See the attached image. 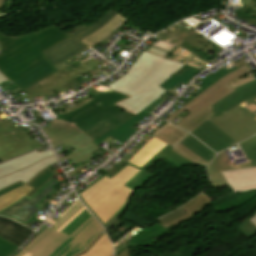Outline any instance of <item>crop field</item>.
Segmentation results:
<instances>
[{
  "mask_svg": "<svg viewBox=\"0 0 256 256\" xmlns=\"http://www.w3.org/2000/svg\"><path fill=\"white\" fill-rule=\"evenodd\" d=\"M176 127V126H175ZM169 124H164L160 129H158L154 135L155 137L159 138L163 142L173 146L174 148L171 150L178 155L184 157L185 159L195 162L203 167H206L209 162L205 161L204 159L198 157L197 155L190 152L188 149H186L184 146H182L180 143L189 136V134L175 128Z\"/></svg>",
  "mask_w": 256,
  "mask_h": 256,
  "instance_id": "crop-field-13",
  "label": "crop field"
},
{
  "mask_svg": "<svg viewBox=\"0 0 256 256\" xmlns=\"http://www.w3.org/2000/svg\"><path fill=\"white\" fill-rule=\"evenodd\" d=\"M5 0H0V7L2 6V4H3V2H4ZM5 3V2H4Z\"/></svg>",
  "mask_w": 256,
  "mask_h": 256,
  "instance_id": "crop-field-53",
  "label": "crop field"
},
{
  "mask_svg": "<svg viewBox=\"0 0 256 256\" xmlns=\"http://www.w3.org/2000/svg\"><path fill=\"white\" fill-rule=\"evenodd\" d=\"M81 27H78V28H75V29H72V30H70V31H68L67 33H72V32H74V31H76V30H78V29H80Z\"/></svg>",
  "mask_w": 256,
  "mask_h": 256,
  "instance_id": "crop-field-49",
  "label": "crop field"
},
{
  "mask_svg": "<svg viewBox=\"0 0 256 256\" xmlns=\"http://www.w3.org/2000/svg\"><path fill=\"white\" fill-rule=\"evenodd\" d=\"M32 230L4 217H0V237L21 246Z\"/></svg>",
  "mask_w": 256,
  "mask_h": 256,
  "instance_id": "crop-field-22",
  "label": "crop field"
},
{
  "mask_svg": "<svg viewBox=\"0 0 256 256\" xmlns=\"http://www.w3.org/2000/svg\"><path fill=\"white\" fill-rule=\"evenodd\" d=\"M240 146L251 162L232 166L225 152H221L207 169L213 187L227 186L226 180L220 171L256 166V136L240 143Z\"/></svg>",
  "mask_w": 256,
  "mask_h": 256,
  "instance_id": "crop-field-11",
  "label": "crop field"
},
{
  "mask_svg": "<svg viewBox=\"0 0 256 256\" xmlns=\"http://www.w3.org/2000/svg\"><path fill=\"white\" fill-rule=\"evenodd\" d=\"M234 13L237 14L238 18H244L245 20L249 21L250 23L254 24L256 22V14L247 11L243 8L238 9Z\"/></svg>",
  "mask_w": 256,
  "mask_h": 256,
  "instance_id": "crop-field-38",
  "label": "crop field"
},
{
  "mask_svg": "<svg viewBox=\"0 0 256 256\" xmlns=\"http://www.w3.org/2000/svg\"><path fill=\"white\" fill-rule=\"evenodd\" d=\"M86 48L88 47L71 37L43 53L50 59V61L55 66L58 63L64 61L65 59Z\"/></svg>",
  "mask_w": 256,
  "mask_h": 256,
  "instance_id": "crop-field-21",
  "label": "crop field"
},
{
  "mask_svg": "<svg viewBox=\"0 0 256 256\" xmlns=\"http://www.w3.org/2000/svg\"><path fill=\"white\" fill-rule=\"evenodd\" d=\"M9 79H7L1 72H0V83L5 82Z\"/></svg>",
  "mask_w": 256,
  "mask_h": 256,
  "instance_id": "crop-field-46",
  "label": "crop field"
},
{
  "mask_svg": "<svg viewBox=\"0 0 256 256\" xmlns=\"http://www.w3.org/2000/svg\"><path fill=\"white\" fill-rule=\"evenodd\" d=\"M68 85H69V87H70V88H72V87L76 86V85H74V84H73V83H71V82H70V83H68Z\"/></svg>",
  "mask_w": 256,
  "mask_h": 256,
  "instance_id": "crop-field-52",
  "label": "crop field"
},
{
  "mask_svg": "<svg viewBox=\"0 0 256 256\" xmlns=\"http://www.w3.org/2000/svg\"><path fill=\"white\" fill-rule=\"evenodd\" d=\"M86 95L90 96L94 100L75 111L57 116L59 119L69 121L84 131L73 139L62 144L66 148L71 146L75 151L60 159L61 162L68 158L72 159L76 163L81 160L84 162L90 160L95 156L93 153L100 149L99 147L91 144V141L95 140L113 127L115 129L118 128L134 117L113 104L128 96L110 90L96 96L91 92Z\"/></svg>",
  "mask_w": 256,
  "mask_h": 256,
  "instance_id": "crop-field-2",
  "label": "crop field"
},
{
  "mask_svg": "<svg viewBox=\"0 0 256 256\" xmlns=\"http://www.w3.org/2000/svg\"><path fill=\"white\" fill-rule=\"evenodd\" d=\"M56 71L58 70L52 65V63L47 58L42 62L29 68L27 71L19 75L11 82L14 83L20 89L25 90L33 84L50 76Z\"/></svg>",
  "mask_w": 256,
  "mask_h": 256,
  "instance_id": "crop-field-16",
  "label": "crop field"
},
{
  "mask_svg": "<svg viewBox=\"0 0 256 256\" xmlns=\"http://www.w3.org/2000/svg\"><path fill=\"white\" fill-rule=\"evenodd\" d=\"M141 171L127 163L113 176L103 175L79 192L78 196L105 227L129 202L135 190L126 185Z\"/></svg>",
  "mask_w": 256,
  "mask_h": 256,
  "instance_id": "crop-field-5",
  "label": "crop field"
},
{
  "mask_svg": "<svg viewBox=\"0 0 256 256\" xmlns=\"http://www.w3.org/2000/svg\"><path fill=\"white\" fill-rule=\"evenodd\" d=\"M39 147H41L40 143L30 137L17 141L14 133L0 136V161L3 162Z\"/></svg>",
  "mask_w": 256,
  "mask_h": 256,
  "instance_id": "crop-field-14",
  "label": "crop field"
},
{
  "mask_svg": "<svg viewBox=\"0 0 256 256\" xmlns=\"http://www.w3.org/2000/svg\"><path fill=\"white\" fill-rule=\"evenodd\" d=\"M127 18L117 15L109 23H107L103 28L94 33L93 35L87 37L86 39L80 41L88 47L92 48L93 46L99 44L104 39L109 37L119 26L126 22Z\"/></svg>",
  "mask_w": 256,
  "mask_h": 256,
  "instance_id": "crop-field-24",
  "label": "crop field"
},
{
  "mask_svg": "<svg viewBox=\"0 0 256 256\" xmlns=\"http://www.w3.org/2000/svg\"><path fill=\"white\" fill-rule=\"evenodd\" d=\"M80 66H82V64L73 56L55 67L64 75Z\"/></svg>",
  "mask_w": 256,
  "mask_h": 256,
  "instance_id": "crop-field-35",
  "label": "crop field"
},
{
  "mask_svg": "<svg viewBox=\"0 0 256 256\" xmlns=\"http://www.w3.org/2000/svg\"><path fill=\"white\" fill-rule=\"evenodd\" d=\"M210 198L206 196L204 193L200 194L181 208L185 210L187 213L166 223L164 225L165 228H169L171 226H174L180 222H183L189 218H192L196 213L200 212L203 208H205L209 202Z\"/></svg>",
  "mask_w": 256,
  "mask_h": 256,
  "instance_id": "crop-field-25",
  "label": "crop field"
},
{
  "mask_svg": "<svg viewBox=\"0 0 256 256\" xmlns=\"http://www.w3.org/2000/svg\"><path fill=\"white\" fill-rule=\"evenodd\" d=\"M217 47H218V46H216V45L214 46V48H215L216 50H219Z\"/></svg>",
  "mask_w": 256,
  "mask_h": 256,
  "instance_id": "crop-field-55",
  "label": "crop field"
},
{
  "mask_svg": "<svg viewBox=\"0 0 256 256\" xmlns=\"http://www.w3.org/2000/svg\"><path fill=\"white\" fill-rule=\"evenodd\" d=\"M116 15H117V13L110 10L107 14H105L100 20H98L94 24H92L88 27H85L71 35H73L75 38H77L80 41V40L86 38L87 36L93 34L97 30H99L101 27H103L107 22H109Z\"/></svg>",
  "mask_w": 256,
  "mask_h": 256,
  "instance_id": "crop-field-28",
  "label": "crop field"
},
{
  "mask_svg": "<svg viewBox=\"0 0 256 256\" xmlns=\"http://www.w3.org/2000/svg\"><path fill=\"white\" fill-rule=\"evenodd\" d=\"M53 230L43 226L37 236L16 256H78L86 252L104 233L79 199L60 219H49Z\"/></svg>",
  "mask_w": 256,
  "mask_h": 256,
  "instance_id": "crop-field-1",
  "label": "crop field"
},
{
  "mask_svg": "<svg viewBox=\"0 0 256 256\" xmlns=\"http://www.w3.org/2000/svg\"><path fill=\"white\" fill-rule=\"evenodd\" d=\"M162 100V98L159 101H155L152 104H150L148 107H146L145 109H143L144 111L149 112L152 108H154L160 101Z\"/></svg>",
  "mask_w": 256,
  "mask_h": 256,
  "instance_id": "crop-field-44",
  "label": "crop field"
},
{
  "mask_svg": "<svg viewBox=\"0 0 256 256\" xmlns=\"http://www.w3.org/2000/svg\"><path fill=\"white\" fill-rule=\"evenodd\" d=\"M52 126L44 128L53 147H57L72 137L83 132L71 123L62 120L50 122Z\"/></svg>",
  "mask_w": 256,
  "mask_h": 256,
  "instance_id": "crop-field-19",
  "label": "crop field"
},
{
  "mask_svg": "<svg viewBox=\"0 0 256 256\" xmlns=\"http://www.w3.org/2000/svg\"><path fill=\"white\" fill-rule=\"evenodd\" d=\"M65 181H67V179L59 183L53 178L30 199L24 196L15 204L0 211V215H4L10 219L26 225L34 216H36L42 210V208H39L37 206L56 190L54 188L55 186Z\"/></svg>",
  "mask_w": 256,
  "mask_h": 256,
  "instance_id": "crop-field-10",
  "label": "crop field"
},
{
  "mask_svg": "<svg viewBox=\"0 0 256 256\" xmlns=\"http://www.w3.org/2000/svg\"><path fill=\"white\" fill-rule=\"evenodd\" d=\"M181 144H183L185 147H187L193 153L197 154L198 156L204 158L205 160H207L209 162L215 155L214 152H212L210 149H208L206 146H204L202 143H200L198 140H196L191 135L186 140H184Z\"/></svg>",
  "mask_w": 256,
  "mask_h": 256,
  "instance_id": "crop-field-29",
  "label": "crop field"
},
{
  "mask_svg": "<svg viewBox=\"0 0 256 256\" xmlns=\"http://www.w3.org/2000/svg\"><path fill=\"white\" fill-rule=\"evenodd\" d=\"M172 147L166 146L162 151H160L156 156H154L150 161H148L144 166L141 168L144 169L136 178H134L128 186L137 189L143 186L154 174L146 171L153 163L161 159L162 157L165 158L170 163L180 167L184 165L193 164L184 158L178 156L177 154L171 152L170 150Z\"/></svg>",
  "mask_w": 256,
  "mask_h": 256,
  "instance_id": "crop-field-17",
  "label": "crop field"
},
{
  "mask_svg": "<svg viewBox=\"0 0 256 256\" xmlns=\"http://www.w3.org/2000/svg\"><path fill=\"white\" fill-rule=\"evenodd\" d=\"M237 90L229 94L213 106L212 115L216 118L239 105L243 101L256 96V80L251 81L243 86L236 88ZM198 139L204 142L215 152L236 144L232 139L225 135L209 120L201 125L193 133Z\"/></svg>",
  "mask_w": 256,
  "mask_h": 256,
  "instance_id": "crop-field-7",
  "label": "crop field"
},
{
  "mask_svg": "<svg viewBox=\"0 0 256 256\" xmlns=\"http://www.w3.org/2000/svg\"><path fill=\"white\" fill-rule=\"evenodd\" d=\"M188 68V66H185V67H183L181 70H179L177 73L179 74V73H181L182 71H184L185 69H187Z\"/></svg>",
  "mask_w": 256,
  "mask_h": 256,
  "instance_id": "crop-field-50",
  "label": "crop field"
},
{
  "mask_svg": "<svg viewBox=\"0 0 256 256\" xmlns=\"http://www.w3.org/2000/svg\"><path fill=\"white\" fill-rule=\"evenodd\" d=\"M237 65H239L240 67L241 66H243L244 64H245V62H243V61H240V62H238V63H236Z\"/></svg>",
  "mask_w": 256,
  "mask_h": 256,
  "instance_id": "crop-field-51",
  "label": "crop field"
},
{
  "mask_svg": "<svg viewBox=\"0 0 256 256\" xmlns=\"http://www.w3.org/2000/svg\"><path fill=\"white\" fill-rule=\"evenodd\" d=\"M237 68H239L237 65L236 66H234L232 69H230V70H227V69H222V70H220V71H218V72H216V73H214V74H210V75H208L207 77H205V78H203L202 80H200V81H202V82H204L205 84L204 85H202L201 87H200V89L196 92V94L192 97V98H194V97H196V96H198L200 93H202L204 90H206L208 87H210L211 85H213L215 82H217L219 79H221L223 76H225L226 74H228L229 72H231V71H233V70H235V69H237ZM180 99H182V100H185V101H187L188 102V100H186V99H184V98H180Z\"/></svg>",
  "mask_w": 256,
  "mask_h": 256,
  "instance_id": "crop-field-33",
  "label": "crop field"
},
{
  "mask_svg": "<svg viewBox=\"0 0 256 256\" xmlns=\"http://www.w3.org/2000/svg\"><path fill=\"white\" fill-rule=\"evenodd\" d=\"M113 247L106 233L85 253L80 256H112Z\"/></svg>",
  "mask_w": 256,
  "mask_h": 256,
  "instance_id": "crop-field-27",
  "label": "crop field"
},
{
  "mask_svg": "<svg viewBox=\"0 0 256 256\" xmlns=\"http://www.w3.org/2000/svg\"><path fill=\"white\" fill-rule=\"evenodd\" d=\"M147 114V112L141 111L134 118L126 122L124 125L119 127L118 129H111L104 135L100 136L97 140L93 141L94 144H99L101 141L111 136L123 143H125L137 130L130 128L132 125L136 124L139 120L143 119Z\"/></svg>",
  "mask_w": 256,
  "mask_h": 256,
  "instance_id": "crop-field-23",
  "label": "crop field"
},
{
  "mask_svg": "<svg viewBox=\"0 0 256 256\" xmlns=\"http://www.w3.org/2000/svg\"><path fill=\"white\" fill-rule=\"evenodd\" d=\"M119 256H128L127 249L125 251H123Z\"/></svg>",
  "mask_w": 256,
  "mask_h": 256,
  "instance_id": "crop-field-48",
  "label": "crop field"
},
{
  "mask_svg": "<svg viewBox=\"0 0 256 256\" xmlns=\"http://www.w3.org/2000/svg\"><path fill=\"white\" fill-rule=\"evenodd\" d=\"M256 226V214L249 219Z\"/></svg>",
  "mask_w": 256,
  "mask_h": 256,
  "instance_id": "crop-field-47",
  "label": "crop field"
},
{
  "mask_svg": "<svg viewBox=\"0 0 256 256\" xmlns=\"http://www.w3.org/2000/svg\"><path fill=\"white\" fill-rule=\"evenodd\" d=\"M8 133H12L10 126L7 124V122L5 120L1 121L0 122V135H4V134H8Z\"/></svg>",
  "mask_w": 256,
  "mask_h": 256,
  "instance_id": "crop-field-40",
  "label": "crop field"
},
{
  "mask_svg": "<svg viewBox=\"0 0 256 256\" xmlns=\"http://www.w3.org/2000/svg\"><path fill=\"white\" fill-rule=\"evenodd\" d=\"M57 163L55 156L42 160L24 170L14 172L6 177L0 178V190L19 181L25 184L30 181L38 172L47 166Z\"/></svg>",
  "mask_w": 256,
  "mask_h": 256,
  "instance_id": "crop-field-18",
  "label": "crop field"
},
{
  "mask_svg": "<svg viewBox=\"0 0 256 256\" xmlns=\"http://www.w3.org/2000/svg\"><path fill=\"white\" fill-rule=\"evenodd\" d=\"M252 53V52H251ZM253 56V58H255V56L253 54H251Z\"/></svg>",
  "mask_w": 256,
  "mask_h": 256,
  "instance_id": "crop-field-56",
  "label": "crop field"
},
{
  "mask_svg": "<svg viewBox=\"0 0 256 256\" xmlns=\"http://www.w3.org/2000/svg\"><path fill=\"white\" fill-rule=\"evenodd\" d=\"M21 185H23V183L19 182L17 184H14V185H12V186H10L8 188H5V189L1 190L0 191V196L5 194V193H7V192H9V191H11V190H13V189H15V188H17V187H19V186H21Z\"/></svg>",
  "mask_w": 256,
  "mask_h": 256,
  "instance_id": "crop-field-43",
  "label": "crop field"
},
{
  "mask_svg": "<svg viewBox=\"0 0 256 256\" xmlns=\"http://www.w3.org/2000/svg\"><path fill=\"white\" fill-rule=\"evenodd\" d=\"M245 8V7H244ZM247 9V8H246ZM249 10V9H248ZM251 11V10H250ZM252 12H254V11H252ZM254 13H256V12H254Z\"/></svg>",
  "mask_w": 256,
  "mask_h": 256,
  "instance_id": "crop-field-57",
  "label": "crop field"
},
{
  "mask_svg": "<svg viewBox=\"0 0 256 256\" xmlns=\"http://www.w3.org/2000/svg\"><path fill=\"white\" fill-rule=\"evenodd\" d=\"M183 66L143 52L126 75L107 87L130 96L115 105L135 116L166 92L158 86Z\"/></svg>",
  "mask_w": 256,
  "mask_h": 256,
  "instance_id": "crop-field-3",
  "label": "crop field"
},
{
  "mask_svg": "<svg viewBox=\"0 0 256 256\" xmlns=\"http://www.w3.org/2000/svg\"><path fill=\"white\" fill-rule=\"evenodd\" d=\"M99 64L92 61L83 67L63 76L59 71L54 73L48 78H44L45 80L33 85L28 88L29 91H26V94L29 99V103H33L32 97L45 96L49 95L51 90H56L58 93L70 89L67 82L81 76L80 74L92 70L97 67Z\"/></svg>",
  "mask_w": 256,
  "mask_h": 256,
  "instance_id": "crop-field-12",
  "label": "crop field"
},
{
  "mask_svg": "<svg viewBox=\"0 0 256 256\" xmlns=\"http://www.w3.org/2000/svg\"><path fill=\"white\" fill-rule=\"evenodd\" d=\"M166 145L167 144L154 137L128 162L141 167Z\"/></svg>",
  "mask_w": 256,
  "mask_h": 256,
  "instance_id": "crop-field-26",
  "label": "crop field"
},
{
  "mask_svg": "<svg viewBox=\"0 0 256 256\" xmlns=\"http://www.w3.org/2000/svg\"><path fill=\"white\" fill-rule=\"evenodd\" d=\"M189 42L190 44L196 46L197 48L201 49L204 52H209L215 44L210 42L209 40L205 39L198 33L192 30L191 34L189 37L185 40Z\"/></svg>",
  "mask_w": 256,
  "mask_h": 256,
  "instance_id": "crop-field-34",
  "label": "crop field"
},
{
  "mask_svg": "<svg viewBox=\"0 0 256 256\" xmlns=\"http://www.w3.org/2000/svg\"><path fill=\"white\" fill-rule=\"evenodd\" d=\"M84 168H86V167H84V166H82V165L79 166L77 169H75V170L71 171L70 173H68L69 177L72 176V175H74L75 173H77V172L83 170Z\"/></svg>",
  "mask_w": 256,
  "mask_h": 256,
  "instance_id": "crop-field-45",
  "label": "crop field"
},
{
  "mask_svg": "<svg viewBox=\"0 0 256 256\" xmlns=\"http://www.w3.org/2000/svg\"><path fill=\"white\" fill-rule=\"evenodd\" d=\"M18 247L0 238V256H10Z\"/></svg>",
  "mask_w": 256,
  "mask_h": 256,
  "instance_id": "crop-field-37",
  "label": "crop field"
},
{
  "mask_svg": "<svg viewBox=\"0 0 256 256\" xmlns=\"http://www.w3.org/2000/svg\"><path fill=\"white\" fill-rule=\"evenodd\" d=\"M236 227L249 239L256 234V227L247 218Z\"/></svg>",
  "mask_w": 256,
  "mask_h": 256,
  "instance_id": "crop-field-36",
  "label": "crop field"
},
{
  "mask_svg": "<svg viewBox=\"0 0 256 256\" xmlns=\"http://www.w3.org/2000/svg\"><path fill=\"white\" fill-rule=\"evenodd\" d=\"M198 72H199L198 69L190 67L179 75L177 73L174 74L170 79L165 81L159 87L168 91L174 86H176L177 84H179L180 82H183L187 85L188 82L191 80V78Z\"/></svg>",
  "mask_w": 256,
  "mask_h": 256,
  "instance_id": "crop-field-30",
  "label": "crop field"
},
{
  "mask_svg": "<svg viewBox=\"0 0 256 256\" xmlns=\"http://www.w3.org/2000/svg\"><path fill=\"white\" fill-rule=\"evenodd\" d=\"M243 106L248 110H243ZM209 120L239 143L256 134V97L243 102L217 119L211 115Z\"/></svg>",
  "mask_w": 256,
  "mask_h": 256,
  "instance_id": "crop-field-9",
  "label": "crop field"
},
{
  "mask_svg": "<svg viewBox=\"0 0 256 256\" xmlns=\"http://www.w3.org/2000/svg\"><path fill=\"white\" fill-rule=\"evenodd\" d=\"M32 189L33 188L24 184L23 186L1 196L0 197V210L15 203L17 200H19L21 197H23L25 194H27Z\"/></svg>",
  "mask_w": 256,
  "mask_h": 256,
  "instance_id": "crop-field-31",
  "label": "crop field"
},
{
  "mask_svg": "<svg viewBox=\"0 0 256 256\" xmlns=\"http://www.w3.org/2000/svg\"><path fill=\"white\" fill-rule=\"evenodd\" d=\"M233 193L256 189V167L222 172Z\"/></svg>",
  "mask_w": 256,
  "mask_h": 256,
  "instance_id": "crop-field-15",
  "label": "crop field"
},
{
  "mask_svg": "<svg viewBox=\"0 0 256 256\" xmlns=\"http://www.w3.org/2000/svg\"><path fill=\"white\" fill-rule=\"evenodd\" d=\"M54 155L52 150L38 153L37 150L0 164V177L24 169L35 162Z\"/></svg>",
  "mask_w": 256,
  "mask_h": 256,
  "instance_id": "crop-field-20",
  "label": "crop field"
},
{
  "mask_svg": "<svg viewBox=\"0 0 256 256\" xmlns=\"http://www.w3.org/2000/svg\"><path fill=\"white\" fill-rule=\"evenodd\" d=\"M184 213H186V212L183 211L181 208H179V209H177V210H175V211H173V212L163 216L162 218L159 219V221L162 224H164V223H166V222H168V221H170V220H172V219H174V218H176V217H178V216H180V215H182Z\"/></svg>",
  "mask_w": 256,
  "mask_h": 256,
  "instance_id": "crop-field-39",
  "label": "crop field"
},
{
  "mask_svg": "<svg viewBox=\"0 0 256 256\" xmlns=\"http://www.w3.org/2000/svg\"><path fill=\"white\" fill-rule=\"evenodd\" d=\"M249 72L251 71L243 66L240 69L226 75L198 97L192 99L184 107L171 114L164 120L169 122L171 119L187 109L191 113L178 122L176 126L190 133L193 132L208 119L212 111V105L235 90L227 84Z\"/></svg>",
  "mask_w": 256,
  "mask_h": 256,
  "instance_id": "crop-field-6",
  "label": "crop field"
},
{
  "mask_svg": "<svg viewBox=\"0 0 256 256\" xmlns=\"http://www.w3.org/2000/svg\"><path fill=\"white\" fill-rule=\"evenodd\" d=\"M243 4H245V7L252 9L256 11V3L253 0H240Z\"/></svg>",
  "mask_w": 256,
  "mask_h": 256,
  "instance_id": "crop-field-41",
  "label": "crop field"
},
{
  "mask_svg": "<svg viewBox=\"0 0 256 256\" xmlns=\"http://www.w3.org/2000/svg\"><path fill=\"white\" fill-rule=\"evenodd\" d=\"M190 32L180 24H177L155 35L160 39L145 50V52L204 70L208 68L207 65L209 63L180 46Z\"/></svg>",
  "mask_w": 256,
  "mask_h": 256,
  "instance_id": "crop-field-8",
  "label": "crop field"
},
{
  "mask_svg": "<svg viewBox=\"0 0 256 256\" xmlns=\"http://www.w3.org/2000/svg\"><path fill=\"white\" fill-rule=\"evenodd\" d=\"M71 36L53 25L27 35L6 37L0 33V71L10 79L47 58L42 52Z\"/></svg>",
  "mask_w": 256,
  "mask_h": 256,
  "instance_id": "crop-field-4",
  "label": "crop field"
},
{
  "mask_svg": "<svg viewBox=\"0 0 256 256\" xmlns=\"http://www.w3.org/2000/svg\"><path fill=\"white\" fill-rule=\"evenodd\" d=\"M190 86L194 87V88L197 89V90H198V88H199V87H196V85H194V84H192V85H190Z\"/></svg>",
  "mask_w": 256,
  "mask_h": 256,
  "instance_id": "crop-field-54",
  "label": "crop field"
},
{
  "mask_svg": "<svg viewBox=\"0 0 256 256\" xmlns=\"http://www.w3.org/2000/svg\"><path fill=\"white\" fill-rule=\"evenodd\" d=\"M56 175L50 170V168H46L37 174L27 185L33 187L34 189L29 192L26 196L31 197L35 192H37L44 184H46L50 179L55 177Z\"/></svg>",
  "mask_w": 256,
  "mask_h": 256,
  "instance_id": "crop-field-32",
  "label": "crop field"
},
{
  "mask_svg": "<svg viewBox=\"0 0 256 256\" xmlns=\"http://www.w3.org/2000/svg\"><path fill=\"white\" fill-rule=\"evenodd\" d=\"M91 100H93V99L88 98V99H86V100L80 102L79 104H77V105H75V106H73V107H71V108H69V109H67V110L61 111V112H59V113H60V114H63V113H67V112H69V111H72V110L76 109L77 107H79V106H81V105H83V104H85V103H87V102H89V101H91Z\"/></svg>",
  "mask_w": 256,
  "mask_h": 256,
  "instance_id": "crop-field-42",
  "label": "crop field"
}]
</instances>
